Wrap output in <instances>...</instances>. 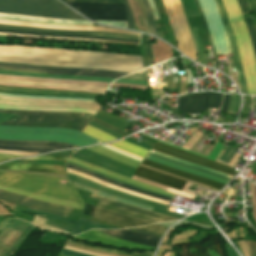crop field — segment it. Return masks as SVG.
I'll use <instances>...</instances> for the list:
<instances>
[{"label":"crop field","mask_w":256,"mask_h":256,"mask_svg":"<svg viewBox=\"0 0 256 256\" xmlns=\"http://www.w3.org/2000/svg\"><path fill=\"white\" fill-rule=\"evenodd\" d=\"M146 159H149L151 161L157 162L159 164H162V165H165V166H168V167H171V168L183 170V171H186L188 173H193V174H197V175L202 176V177L210 178V179H213V180L218 181L220 183L226 184L229 181V180L222 179V178H219V177H216V176H213V175H209V174H206V173H203V172H200V171L192 170V169H189V168H186V167H183V166H180V165H177V164H174V163H171L169 161L159 159V158H156V157H153V156L147 155Z\"/></svg>","instance_id":"26"},{"label":"crop field","mask_w":256,"mask_h":256,"mask_svg":"<svg viewBox=\"0 0 256 256\" xmlns=\"http://www.w3.org/2000/svg\"><path fill=\"white\" fill-rule=\"evenodd\" d=\"M222 96L223 94L214 92L179 96L177 109L190 114H198L200 109L207 111L208 107L219 108Z\"/></svg>","instance_id":"10"},{"label":"crop field","mask_w":256,"mask_h":256,"mask_svg":"<svg viewBox=\"0 0 256 256\" xmlns=\"http://www.w3.org/2000/svg\"><path fill=\"white\" fill-rule=\"evenodd\" d=\"M63 1H82V2H117V3H122V0H63Z\"/></svg>","instance_id":"44"},{"label":"crop field","mask_w":256,"mask_h":256,"mask_svg":"<svg viewBox=\"0 0 256 256\" xmlns=\"http://www.w3.org/2000/svg\"><path fill=\"white\" fill-rule=\"evenodd\" d=\"M116 82H123V83H136V84H144L147 85L146 81H139V80H126V79H119Z\"/></svg>","instance_id":"47"},{"label":"crop field","mask_w":256,"mask_h":256,"mask_svg":"<svg viewBox=\"0 0 256 256\" xmlns=\"http://www.w3.org/2000/svg\"><path fill=\"white\" fill-rule=\"evenodd\" d=\"M153 2L157 8L158 15L160 18V20H157L156 23L162 37L164 38V40H166L167 42L171 43L176 48H178L175 36L173 34V31L167 19V15H166L162 0H153Z\"/></svg>","instance_id":"19"},{"label":"crop field","mask_w":256,"mask_h":256,"mask_svg":"<svg viewBox=\"0 0 256 256\" xmlns=\"http://www.w3.org/2000/svg\"><path fill=\"white\" fill-rule=\"evenodd\" d=\"M68 161L72 162V163H75V164H78V165H81L83 167L89 168L91 170L97 171L99 173H102V174L107 175L109 177L115 178L117 180L123 181L125 183H128V184L135 185V186L147 189V190H151V191H154V192H157V193H161V194H164V195H168V196L174 197V194L166 193V192H164V189H160V188H157V187H154V186H150V185L141 183L139 181H136V180H133V179H130V178L118 175L116 173H113V172L107 171L105 169L96 167V166L88 164L86 162L77 160L75 158L70 157V159H68Z\"/></svg>","instance_id":"17"},{"label":"crop field","mask_w":256,"mask_h":256,"mask_svg":"<svg viewBox=\"0 0 256 256\" xmlns=\"http://www.w3.org/2000/svg\"><path fill=\"white\" fill-rule=\"evenodd\" d=\"M250 10L256 13V2L255 0H247Z\"/></svg>","instance_id":"53"},{"label":"crop field","mask_w":256,"mask_h":256,"mask_svg":"<svg viewBox=\"0 0 256 256\" xmlns=\"http://www.w3.org/2000/svg\"><path fill=\"white\" fill-rule=\"evenodd\" d=\"M166 250L171 251V249H159L156 256H161Z\"/></svg>","instance_id":"57"},{"label":"crop field","mask_w":256,"mask_h":256,"mask_svg":"<svg viewBox=\"0 0 256 256\" xmlns=\"http://www.w3.org/2000/svg\"><path fill=\"white\" fill-rule=\"evenodd\" d=\"M0 78H4V79H19V80H32V81H41V82L74 83V84L93 85V86H108L109 85V83L68 81V80H51V79H36V78L12 77V76H2V75H0Z\"/></svg>","instance_id":"29"},{"label":"crop field","mask_w":256,"mask_h":256,"mask_svg":"<svg viewBox=\"0 0 256 256\" xmlns=\"http://www.w3.org/2000/svg\"><path fill=\"white\" fill-rule=\"evenodd\" d=\"M19 157H22V156H11V155H1L0 154V162L9 160V159L19 158Z\"/></svg>","instance_id":"51"},{"label":"crop field","mask_w":256,"mask_h":256,"mask_svg":"<svg viewBox=\"0 0 256 256\" xmlns=\"http://www.w3.org/2000/svg\"><path fill=\"white\" fill-rule=\"evenodd\" d=\"M83 215L101 218L114 223L122 224L129 227L143 226L152 224L150 222L116 214L107 210L99 209L93 206L85 205Z\"/></svg>","instance_id":"13"},{"label":"crop field","mask_w":256,"mask_h":256,"mask_svg":"<svg viewBox=\"0 0 256 256\" xmlns=\"http://www.w3.org/2000/svg\"><path fill=\"white\" fill-rule=\"evenodd\" d=\"M69 163V162H68ZM69 164H72V163H69ZM73 165H75V164H73ZM76 166H78V165H76ZM79 167H81V166H79ZM81 168H83V167H81ZM84 169H86V168H84ZM87 170H89V169H87ZM89 171H91V170H89ZM92 172H94V171H92ZM95 173H97V172H95ZM97 174H99V173H97ZM100 175H102V174H100ZM104 176V175H103ZM105 177H107V176H105ZM109 178V177H108ZM110 179H112V178H110ZM112 180H114V179H112ZM115 181H117V180H115ZM118 182H120V181H118ZM122 183V182H121ZM125 184V183H124ZM128 185V184H127ZM131 186V185H130ZM133 187H135V186H133ZM138 188V187H137ZM141 189V188H140ZM144 190V189H143ZM151 192V191H150ZM154 193V192H153ZM161 195V194H160ZM164 196V195H163ZM168 197V196H167ZM170 198H172V197H170Z\"/></svg>","instance_id":"58"},{"label":"crop field","mask_w":256,"mask_h":256,"mask_svg":"<svg viewBox=\"0 0 256 256\" xmlns=\"http://www.w3.org/2000/svg\"><path fill=\"white\" fill-rule=\"evenodd\" d=\"M215 2L217 4V7H218V10H219L224 28L227 32L228 37H229L230 46H231L233 59H234V64H235V68H236V72H237V75H238V79H239V83H240L242 93H247L233 31H232V29L229 25V21H228V18H227V15H226V12H225V9L222 5L221 0H215Z\"/></svg>","instance_id":"15"},{"label":"crop field","mask_w":256,"mask_h":256,"mask_svg":"<svg viewBox=\"0 0 256 256\" xmlns=\"http://www.w3.org/2000/svg\"><path fill=\"white\" fill-rule=\"evenodd\" d=\"M0 189L10 191V192H13L16 194H20L23 196L31 197L34 199L42 200V201H45L48 203H54V204H58V205H62V206L70 207V208H75V209H81V210L84 209V206L82 204L73 203V202H69L66 200H62V199L46 197V196H42V195H38V194H34V193L22 191V190L10 188V187L0 186Z\"/></svg>","instance_id":"22"},{"label":"crop field","mask_w":256,"mask_h":256,"mask_svg":"<svg viewBox=\"0 0 256 256\" xmlns=\"http://www.w3.org/2000/svg\"><path fill=\"white\" fill-rule=\"evenodd\" d=\"M67 167H68V168L75 169V170H78V171H81V172H84V173L89 174V175H92V176H94V177L100 178V179L105 180V181H107V182H109V183H111V184H114V185L122 186V187H125V188H128V189H131V190H135V191H138V192H141V193H144V194H148V195H151V196H154V197H158V198H161V199H165V200L170 201V198H166V197H163V196H160V195H156V194H153V193H150V192H146V191H143V190H140V189H137V188H133V187H130V186L122 185V184L117 183V182H115V181H112V180H110V179H108V178H105V177H103V176L97 175V174H95V173L89 172V171H87V170L81 169V168L76 167V166H72V165H68V164H67Z\"/></svg>","instance_id":"28"},{"label":"crop field","mask_w":256,"mask_h":256,"mask_svg":"<svg viewBox=\"0 0 256 256\" xmlns=\"http://www.w3.org/2000/svg\"><path fill=\"white\" fill-rule=\"evenodd\" d=\"M67 244L87 248V249H92L96 251H101V252H108V253H115V254H121V255H127V256H152L154 252H145V253H135V254H128L123 251H118V250H112V249H106V248H100V247H93V246H86L80 242H72V241H67Z\"/></svg>","instance_id":"30"},{"label":"crop field","mask_w":256,"mask_h":256,"mask_svg":"<svg viewBox=\"0 0 256 256\" xmlns=\"http://www.w3.org/2000/svg\"><path fill=\"white\" fill-rule=\"evenodd\" d=\"M91 198L100 200L99 203L97 204V207L104 208L113 212L125 214L128 216L144 219L153 223L178 220V219L166 217L160 214L152 213L148 210L118 203L108 198L100 197L97 195L92 194Z\"/></svg>","instance_id":"9"},{"label":"crop field","mask_w":256,"mask_h":256,"mask_svg":"<svg viewBox=\"0 0 256 256\" xmlns=\"http://www.w3.org/2000/svg\"><path fill=\"white\" fill-rule=\"evenodd\" d=\"M0 150H12V151H24V152H40L45 153L48 151H53V149H44V148H16V147H5L0 146Z\"/></svg>","instance_id":"35"},{"label":"crop field","mask_w":256,"mask_h":256,"mask_svg":"<svg viewBox=\"0 0 256 256\" xmlns=\"http://www.w3.org/2000/svg\"><path fill=\"white\" fill-rule=\"evenodd\" d=\"M0 145L6 146H27V147H45L54 149H65V148H75L76 146L68 145L59 142H48V141H7L0 140Z\"/></svg>","instance_id":"23"},{"label":"crop field","mask_w":256,"mask_h":256,"mask_svg":"<svg viewBox=\"0 0 256 256\" xmlns=\"http://www.w3.org/2000/svg\"><path fill=\"white\" fill-rule=\"evenodd\" d=\"M88 150L94 151L96 153H99L101 155H104L106 157L112 158L114 160L120 161L122 163H125L127 165L133 166L135 168H137V166L139 165V162L132 160L130 158H127L125 156H122L112 150H109L107 148H104L102 146H98V147H94V148H88Z\"/></svg>","instance_id":"27"},{"label":"crop field","mask_w":256,"mask_h":256,"mask_svg":"<svg viewBox=\"0 0 256 256\" xmlns=\"http://www.w3.org/2000/svg\"><path fill=\"white\" fill-rule=\"evenodd\" d=\"M141 3L145 9V13H146V19L149 23V26L153 32L154 35L160 37L159 32L156 29L155 23H154V19H153V15L149 6V3L147 0H141Z\"/></svg>","instance_id":"33"},{"label":"crop field","mask_w":256,"mask_h":256,"mask_svg":"<svg viewBox=\"0 0 256 256\" xmlns=\"http://www.w3.org/2000/svg\"><path fill=\"white\" fill-rule=\"evenodd\" d=\"M0 199H4L9 202L17 203L35 210L48 212L59 216L68 217L71 211L70 208L47 204L41 201L29 199L6 191L0 192Z\"/></svg>","instance_id":"12"},{"label":"crop field","mask_w":256,"mask_h":256,"mask_svg":"<svg viewBox=\"0 0 256 256\" xmlns=\"http://www.w3.org/2000/svg\"><path fill=\"white\" fill-rule=\"evenodd\" d=\"M93 121H95V122H97V123H99V124H101V125H104V126H106V127H108V128H111V129L117 131L118 133H120V134H122V135H124V136L128 135L127 133H125V132H123V131H121V130H118V129H116V128H114V127H112V126H110V125H108V124H106V123H104V122H101V121H99V120H97V119H95V118H93Z\"/></svg>","instance_id":"46"},{"label":"crop field","mask_w":256,"mask_h":256,"mask_svg":"<svg viewBox=\"0 0 256 256\" xmlns=\"http://www.w3.org/2000/svg\"><path fill=\"white\" fill-rule=\"evenodd\" d=\"M123 2H124V5H125V8H126V11H127V24H128V28L135 29L134 28V24H133V20H132L131 11H130V9L128 7L127 1L123 0Z\"/></svg>","instance_id":"41"},{"label":"crop field","mask_w":256,"mask_h":256,"mask_svg":"<svg viewBox=\"0 0 256 256\" xmlns=\"http://www.w3.org/2000/svg\"><path fill=\"white\" fill-rule=\"evenodd\" d=\"M89 120L67 116L21 115V119L1 123L11 126L59 127L82 131Z\"/></svg>","instance_id":"6"},{"label":"crop field","mask_w":256,"mask_h":256,"mask_svg":"<svg viewBox=\"0 0 256 256\" xmlns=\"http://www.w3.org/2000/svg\"><path fill=\"white\" fill-rule=\"evenodd\" d=\"M28 159H51V160H63V161L67 160V158H62V157H43V156L28 158Z\"/></svg>","instance_id":"49"},{"label":"crop field","mask_w":256,"mask_h":256,"mask_svg":"<svg viewBox=\"0 0 256 256\" xmlns=\"http://www.w3.org/2000/svg\"><path fill=\"white\" fill-rule=\"evenodd\" d=\"M139 229H143V230H147V231H151V232H155V233H160V234H164L165 230L167 229L166 227L154 224L151 226H146V227H140Z\"/></svg>","instance_id":"40"},{"label":"crop field","mask_w":256,"mask_h":256,"mask_svg":"<svg viewBox=\"0 0 256 256\" xmlns=\"http://www.w3.org/2000/svg\"><path fill=\"white\" fill-rule=\"evenodd\" d=\"M0 113L36 114V115H67V116H75V117H84V115H85V114H80V113L37 112V111H12V110H0Z\"/></svg>","instance_id":"32"},{"label":"crop field","mask_w":256,"mask_h":256,"mask_svg":"<svg viewBox=\"0 0 256 256\" xmlns=\"http://www.w3.org/2000/svg\"><path fill=\"white\" fill-rule=\"evenodd\" d=\"M244 19H245L246 24H247L248 32H249V35L251 37L253 47H254V51H255V56H256V27H255L254 21H253V19L251 18L250 15L244 16Z\"/></svg>","instance_id":"34"},{"label":"crop field","mask_w":256,"mask_h":256,"mask_svg":"<svg viewBox=\"0 0 256 256\" xmlns=\"http://www.w3.org/2000/svg\"><path fill=\"white\" fill-rule=\"evenodd\" d=\"M0 13L85 20L56 0H0Z\"/></svg>","instance_id":"4"},{"label":"crop field","mask_w":256,"mask_h":256,"mask_svg":"<svg viewBox=\"0 0 256 256\" xmlns=\"http://www.w3.org/2000/svg\"><path fill=\"white\" fill-rule=\"evenodd\" d=\"M0 139L60 141L79 147L100 143L79 131L55 128L0 126Z\"/></svg>","instance_id":"3"},{"label":"crop field","mask_w":256,"mask_h":256,"mask_svg":"<svg viewBox=\"0 0 256 256\" xmlns=\"http://www.w3.org/2000/svg\"><path fill=\"white\" fill-rule=\"evenodd\" d=\"M58 256H60V255H58Z\"/></svg>","instance_id":"60"},{"label":"crop field","mask_w":256,"mask_h":256,"mask_svg":"<svg viewBox=\"0 0 256 256\" xmlns=\"http://www.w3.org/2000/svg\"><path fill=\"white\" fill-rule=\"evenodd\" d=\"M150 155L157 156V155H154L151 153H150ZM157 157H159V156H157ZM160 158H162V157H160ZM163 159H165V158H163ZM166 160H168V159H166ZM169 161H171V160H169ZM172 162H174V161H172ZM174 163H177V162H174ZM177 164H180V163H177ZM180 165H183V164H180ZM184 166H187V165H184ZM188 167H190V166H188ZM191 168H193V167H191ZM194 169H196V168H194ZM197 170H200V169H197ZM200 171H203V170H200ZM203 172H206V171H203ZM206 173H209V172H206ZM209 174H212V173H209ZM213 175H216V174H213ZM216 176H219V175H216ZM219 177H222V176H219ZM222 178H226V177H222ZM226 179L230 180V178H226Z\"/></svg>","instance_id":"55"},{"label":"crop field","mask_w":256,"mask_h":256,"mask_svg":"<svg viewBox=\"0 0 256 256\" xmlns=\"http://www.w3.org/2000/svg\"><path fill=\"white\" fill-rule=\"evenodd\" d=\"M134 175L157 182V183H161L173 188H177L180 190H182L183 186L186 183V180H183L174 176H170V175L146 168L141 165H139Z\"/></svg>","instance_id":"16"},{"label":"crop field","mask_w":256,"mask_h":256,"mask_svg":"<svg viewBox=\"0 0 256 256\" xmlns=\"http://www.w3.org/2000/svg\"><path fill=\"white\" fill-rule=\"evenodd\" d=\"M25 211L39 214L47 218L43 226L44 229H49V230H54V231H59V232H64L69 234H71L73 232L72 230H74L75 233H73L72 235L80 234L89 229H116V228H112V227L105 226V225L88 221V220L80 219L79 221H77L69 218H63V217H59V216H55V215H51L43 212H38V211L27 209V208H25ZM39 215H36L33 221V224L39 227H42L45 221V218Z\"/></svg>","instance_id":"5"},{"label":"crop field","mask_w":256,"mask_h":256,"mask_svg":"<svg viewBox=\"0 0 256 256\" xmlns=\"http://www.w3.org/2000/svg\"><path fill=\"white\" fill-rule=\"evenodd\" d=\"M153 150L168 154L170 156H173V157L185 160V161H189V162H192L195 164L209 167V168L218 170L220 172H223V173H226V174H229L232 176H234L237 173V171L230 169L229 166L204 159L202 157L196 156L194 154L176 149L174 147H171V146L159 143V142H157V144L154 146Z\"/></svg>","instance_id":"11"},{"label":"crop field","mask_w":256,"mask_h":256,"mask_svg":"<svg viewBox=\"0 0 256 256\" xmlns=\"http://www.w3.org/2000/svg\"><path fill=\"white\" fill-rule=\"evenodd\" d=\"M234 31L248 94L256 95V60L237 0H222Z\"/></svg>","instance_id":"2"},{"label":"crop field","mask_w":256,"mask_h":256,"mask_svg":"<svg viewBox=\"0 0 256 256\" xmlns=\"http://www.w3.org/2000/svg\"><path fill=\"white\" fill-rule=\"evenodd\" d=\"M61 253H62V254L69 255V256H87V255L75 253V252L68 251V250H64V249H62Z\"/></svg>","instance_id":"50"},{"label":"crop field","mask_w":256,"mask_h":256,"mask_svg":"<svg viewBox=\"0 0 256 256\" xmlns=\"http://www.w3.org/2000/svg\"><path fill=\"white\" fill-rule=\"evenodd\" d=\"M58 181L66 182L65 186L56 184ZM0 185L11 186L18 189L62 198L78 203L83 201L70 181L54 177L12 174L0 171Z\"/></svg>","instance_id":"1"},{"label":"crop field","mask_w":256,"mask_h":256,"mask_svg":"<svg viewBox=\"0 0 256 256\" xmlns=\"http://www.w3.org/2000/svg\"><path fill=\"white\" fill-rule=\"evenodd\" d=\"M142 164H145V165L157 168L159 170H162V171H165V172L177 175L179 177H182V178H185V179H188V180H191V181H195V182H198V183H201V184H204V185L216 188L218 190H220L224 186L223 184L217 183L215 181H212V180H209V179H205V178L199 177L197 175L188 174V173H185L183 171L171 169V168H168V167L156 164L154 162L148 161L146 159L142 162Z\"/></svg>","instance_id":"18"},{"label":"crop field","mask_w":256,"mask_h":256,"mask_svg":"<svg viewBox=\"0 0 256 256\" xmlns=\"http://www.w3.org/2000/svg\"><path fill=\"white\" fill-rule=\"evenodd\" d=\"M195 3H196V5H197V7H198V10H199L200 14H201V17H202V20H203V24H204V27H205L206 33H207L208 38H209V41H210V43H211L212 52H213V56H214V59H215V66H216V68H218V64H217L216 57H215V52H214L213 43H212V40H211L210 34H209V32H208V29H207V25H206V22H205L204 15H203V13H202V10H201V8H200L199 3H198V1H197V0H195Z\"/></svg>","instance_id":"37"},{"label":"crop field","mask_w":256,"mask_h":256,"mask_svg":"<svg viewBox=\"0 0 256 256\" xmlns=\"http://www.w3.org/2000/svg\"><path fill=\"white\" fill-rule=\"evenodd\" d=\"M72 183H73L74 187L80 188V189L85 190L87 192H91V193L98 194V195H101V196H104V197H108V198H111V199L116 200L118 202L135 205V206L142 207V208L149 209V210L152 209V207H148V206H145V205L137 204V203L125 200V199L118 198V197L110 196V195L104 194L102 192H99L97 190H94V189H91V188L79 185L77 183H74V182H72Z\"/></svg>","instance_id":"31"},{"label":"crop field","mask_w":256,"mask_h":256,"mask_svg":"<svg viewBox=\"0 0 256 256\" xmlns=\"http://www.w3.org/2000/svg\"><path fill=\"white\" fill-rule=\"evenodd\" d=\"M92 220H93V221L100 222V223H103V224L111 225V226H114V227L123 228V226H119V225H115V224L107 223V222L100 221V220H97V219H94V218H93Z\"/></svg>","instance_id":"56"},{"label":"crop field","mask_w":256,"mask_h":256,"mask_svg":"<svg viewBox=\"0 0 256 256\" xmlns=\"http://www.w3.org/2000/svg\"><path fill=\"white\" fill-rule=\"evenodd\" d=\"M230 94H225L221 112L226 113L229 105Z\"/></svg>","instance_id":"45"},{"label":"crop field","mask_w":256,"mask_h":256,"mask_svg":"<svg viewBox=\"0 0 256 256\" xmlns=\"http://www.w3.org/2000/svg\"><path fill=\"white\" fill-rule=\"evenodd\" d=\"M0 74L24 76V77H36V78H58V79H70V80L97 81V82H111L115 80V79H106V78L78 77V76H64V75H44V74H32V73L8 72V71H0Z\"/></svg>","instance_id":"24"},{"label":"crop field","mask_w":256,"mask_h":256,"mask_svg":"<svg viewBox=\"0 0 256 256\" xmlns=\"http://www.w3.org/2000/svg\"><path fill=\"white\" fill-rule=\"evenodd\" d=\"M0 70L37 72V73H48V74H66V75H78V76H94V77H107V78H118L123 75H126L122 73L106 72V71H98V70L44 68V67H37V66L12 65V64H2V63H0Z\"/></svg>","instance_id":"8"},{"label":"crop field","mask_w":256,"mask_h":256,"mask_svg":"<svg viewBox=\"0 0 256 256\" xmlns=\"http://www.w3.org/2000/svg\"><path fill=\"white\" fill-rule=\"evenodd\" d=\"M3 33H17V34H29L38 36H51V37H71V38H90V39H105V40H115V41H125V42H135L139 43V40H128L122 38H109V37H93V36H77V35H61V34H49L40 32H29V31H17V30H4L0 29Z\"/></svg>","instance_id":"25"},{"label":"crop field","mask_w":256,"mask_h":256,"mask_svg":"<svg viewBox=\"0 0 256 256\" xmlns=\"http://www.w3.org/2000/svg\"><path fill=\"white\" fill-rule=\"evenodd\" d=\"M126 230H132V231H136V232H139V233L154 235V236H159V237L162 236V235H158V234H154V233H150V232H146V231H142V230H138V229H134V228H130V229H126Z\"/></svg>","instance_id":"54"},{"label":"crop field","mask_w":256,"mask_h":256,"mask_svg":"<svg viewBox=\"0 0 256 256\" xmlns=\"http://www.w3.org/2000/svg\"><path fill=\"white\" fill-rule=\"evenodd\" d=\"M250 256H256V242L245 241Z\"/></svg>","instance_id":"42"},{"label":"crop field","mask_w":256,"mask_h":256,"mask_svg":"<svg viewBox=\"0 0 256 256\" xmlns=\"http://www.w3.org/2000/svg\"><path fill=\"white\" fill-rule=\"evenodd\" d=\"M162 143H164V142H162ZM165 144H167V143H165ZM168 145H171V144H168ZM171 146H174V145H171ZM174 147H177V146H174ZM221 147H222L221 143L218 142V144L215 146V148L212 150V152L206 158H209L211 160H215V158L217 157ZM177 148H180V147H177ZM180 149H182V148H180ZM183 150H185V149H183ZM185 151H188V150H185ZM188 152H191V151H188ZM191 153H194V152H191ZM194 154H196V153H194ZM197 155H199V154H197ZM200 156H202V155H200ZM203 157H205V156H203Z\"/></svg>","instance_id":"38"},{"label":"crop field","mask_w":256,"mask_h":256,"mask_svg":"<svg viewBox=\"0 0 256 256\" xmlns=\"http://www.w3.org/2000/svg\"><path fill=\"white\" fill-rule=\"evenodd\" d=\"M0 93H4V92H0ZM7 94H12V93H7ZM20 95L51 96V97H63V98H88V97H70V96L37 95V94H20ZM88 99H95V98H88Z\"/></svg>","instance_id":"48"},{"label":"crop field","mask_w":256,"mask_h":256,"mask_svg":"<svg viewBox=\"0 0 256 256\" xmlns=\"http://www.w3.org/2000/svg\"><path fill=\"white\" fill-rule=\"evenodd\" d=\"M0 28L40 31V32H49V33L106 35V36H117V37H127V38H136V39H139V37H140V36H136V35H127V34L84 32V31H70V30H53V29H39V28H31V27H23V26H12V25H0Z\"/></svg>","instance_id":"21"},{"label":"crop field","mask_w":256,"mask_h":256,"mask_svg":"<svg viewBox=\"0 0 256 256\" xmlns=\"http://www.w3.org/2000/svg\"><path fill=\"white\" fill-rule=\"evenodd\" d=\"M148 38H149L148 36L143 35V41H144V45H145V49H146V53H147L148 64L150 66V65L154 64L155 62H154L152 52L150 50V44L147 43Z\"/></svg>","instance_id":"39"},{"label":"crop field","mask_w":256,"mask_h":256,"mask_svg":"<svg viewBox=\"0 0 256 256\" xmlns=\"http://www.w3.org/2000/svg\"><path fill=\"white\" fill-rule=\"evenodd\" d=\"M237 150H238V147L228 145V147L225 149V151L219 158V161L228 163L230 159L235 155Z\"/></svg>","instance_id":"36"},{"label":"crop field","mask_w":256,"mask_h":256,"mask_svg":"<svg viewBox=\"0 0 256 256\" xmlns=\"http://www.w3.org/2000/svg\"><path fill=\"white\" fill-rule=\"evenodd\" d=\"M92 20H126L123 4L67 2Z\"/></svg>","instance_id":"7"},{"label":"crop field","mask_w":256,"mask_h":256,"mask_svg":"<svg viewBox=\"0 0 256 256\" xmlns=\"http://www.w3.org/2000/svg\"><path fill=\"white\" fill-rule=\"evenodd\" d=\"M64 248H65V249L72 250V251H76V252H80V253H84V254L92 255V256H105V255H97V254H92V253H88V252H84V251L76 250V249H73V248H71V247H67V246H64Z\"/></svg>","instance_id":"52"},{"label":"crop field","mask_w":256,"mask_h":256,"mask_svg":"<svg viewBox=\"0 0 256 256\" xmlns=\"http://www.w3.org/2000/svg\"><path fill=\"white\" fill-rule=\"evenodd\" d=\"M238 3L243 15L250 12L246 0H238Z\"/></svg>","instance_id":"43"},{"label":"crop field","mask_w":256,"mask_h":256,"mask_svg":"<svg viewBox=\"0 0 256 256\" xmlns=\"http://www.w3.org/2000/svg\"><path fill=\"white\" fill-rule=\"evenodd\" d=\"M0 169L36 171V172H46V173L66 175L65 166H61V165L4 164V165H0Z\"/></svg>","instance_id":"20"},{"label":"crop field","mask_w":256,"mask_h":256,"mask_svg":"<svg viewBox=\"0 0 256 256\" xmlns=\"http://www.w3.org/2000/svg\"><path fill=\"white\" fill-rule=\"evenodd\" d=\"M251 173L256 174V163H255L254 168H253V170H252V172H251Z\"/></svg>","instance_id":"59"},{"label":"crop field","mask_w":256,"mask_h":256,"mask_svg":"<svg viewBox=\"0 0 256 256\" xmlns=\"http://www.w3.org/2000/svg\"><path fill=\"white\" fill-rule=\"evenodd\" d=\"M86 234L103 236L109 238L122 239L132 242H138L148 245L156 246L157 242L160 240L159 237H153L148 235L138 234L136 232L118 230V231H100V230H91L85 232Z\"/></svg>","instance_id":"14"}]
</instances>
